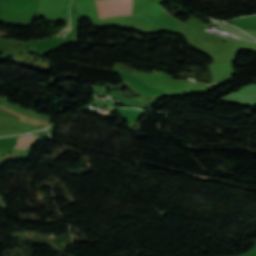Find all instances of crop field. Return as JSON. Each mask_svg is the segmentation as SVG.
<instances>
[{
	"label": "crop field",
	"instance_id": "1",
	"mask_svg": "<svg viewBox=\"0 0 256 256\" xmlns=\"http://www.w3.org/2000/svg\"><path fill=\"white\" fill-rule=\"evenodd\" d=\"M99 17L131 14L132 0H95Z\"/></svg>",
	"mask_w": 256,
	"mask_h": 256
},
{
	"label": "crop field",
	"instance_id": "2",
	"mask_svg": "<svg viewBox=\"0 0 256 256\" xmlns=\"http://www.w3.org/2000/svg\"><path fill=\"white\" fill-rule=\"evenodd\" d=\"M0 107L3 108V109H5V110H7V111H9V112H11V113H13V114H15V115H17V116L24 117V118H26V119H28V120L40 121V122H46V123H49V122H50V121H47V120L34 119V118H31V117L24 116V115H22V114H20V113H18V112H16V111H13V110H10V109L4 107V106H2V105H0ZM0 111L3 112V113H6V114H8V115H10V116H12V117H14V118H16V119H18L17 116H14V115H12V114H10V113H8V112L2 110V109H0ZM21 117H19V120L26 121V122H30V123H34V124L48 125V124H46V123L27 121V120H25V119H23V118H21Z\"/></svg>",
	"mask_w": 256,
	"mask_h": 256
},
{
	"label": "crop field",
	"instance_id": "3",
	"mask_svg": "<svg viewBox=\"0 0 256 256\" xmlns=\"http://www.w3.org/2000/svg\"><path fill=\"white\" fill-rule=\"evenodd\" d=\"M36 138L37 137L33 136H20L17 140L18 144L15 148L27 149Z\"/></svg>",
	"mask_w": 256,
	"mask_h": 256
}]
</instances>
